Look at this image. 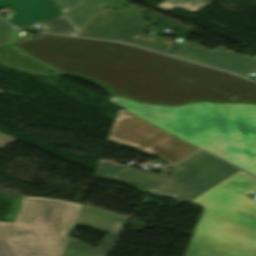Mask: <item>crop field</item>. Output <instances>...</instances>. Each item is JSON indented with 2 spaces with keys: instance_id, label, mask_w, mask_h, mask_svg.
Listing matches in <instances>:
<instances>
[{
  "instance_id": "crop-field-16",
  "label": "crop field",
  "mask_w": 256,
  "mask_h": 256,
  "mask_svg": "<svg viewBox=\"0 0 256 256\" xmlns=\"http://www.w3.org/2000/svg\"><path fill=\"white\" fill-rule=\"evenodd\" d=\"M47 23L55 33L72 35L76 31L64 17V15L60 16L59 18L47 21Z\"/></svg>"
},
{
  "instance_id": "crop-field-5",
  "label": "crop field",
  "mask_w": 256,
  "mask_h": 256,
  "mask_svg": "<svg viewBox=\"0 0 256 256\" xmlns=\"http://www.w3.org/2000/svg\"><path fill=\"white\" fill-rule=\"evenodd\" d=\"M108 139L138 148L171 164L197 149L122 109L118 110Z\"/></svg>"
},
{
  "instance_id": "crop-field-7",
  "label": "crop field",
  "mask_w": 256,
  "mask_h": 256,
  "mask_svg": "<svg viewBox=\"0 0 256 256\" xmlns=\"http://www.w3.org/2000/svg\"><path fill=\"white\" fill-rule=\"evenodd\" d=\"M151 24L134 5L123 11L100 9L76 35L123 41L164 53L170 46L167 39L144 35Z\"/></svg>"
},
{
  "instance_id": "crop-field-21",
  "label": "crop field",
  "mask_w": 256,
  "mask_h": 256,
  "mask_svg": "<svg viewBox=\"0 0 256 256\" xmlns=\"http://www.w3.org/2000/svg\"><path fill=\"white\" fill-rule=\"evenodd\" d=\"M0 66H3V67H6L4 65H1ZM8 68V67H6ZM10 69V68H9ZM13 70V69H12ZM16 71V70H15ZM18 72H21V71H18ZM22 73H25V74H29V75H34V76H42V77H51V78H56L57 76H50V75H40V74H34V73H28V72H22Z\"/></svg>"
},
{
  "instance_id": "crop-field-19",
  "label": "crop field",
  "mask_w": 256,
  "mask_h": 256,
  "mask_svg": "<svg viewBox=\"0 0 256 256\" xmlns=\"http://www.w3.org/2000/svg\"><path fill=\"white\" fill-rule=\"evenodd\" d=\"M11 27L0 20V44L9 42Z\"/></svg>"
},
{
  "instance_id": "crop-field-3",
  "label": "crop field",
  "mask_w": 256,
  "mask_h": 256,
  "mask_svg": "<svg viewBox=\"0 0 256 256\" xmlns=\"http://www.w3.org/2000/svg\"><path fill=\"white\" fill-rule=\"evenodd\" d=\"M81 207L24 197L14 223H0V256H61Z\"/></svg>"
},
{
  "instance_id": "crop-field-14",
  "label": "crop field",
  "mask_w": 256,
  "mask_h": 256,
  "mask_svg": "<svg viewBox=\"0 0 256 256\" xmlns=\"http://www.w3.org/2000/svg\"><path fill=\"white\" fill-rule=\"evenodd\" d=\"M209 2L210 0H165L156 6L165 10L178 7L196 13L207 6Z\"/></svg>"
},
{
  "instance_id": "crop-field-8",
  "label": "crop field",
  "mask_w": 256,
  "mask_h": 256,
  "mask_svg": "<svg viewBox=\"0 0 256 256\" xmlns=\"http://www.w3.org/2000/svg\"><path fill=\"white\" fill-rule=\"evenodd\" d=\"M190 240L243 256H256L255 229L204 213Z\"/></svg>"
},
{
  "instance_id": "crop-field-22",
  "label": "crop field",
  "mask_w": 256,
  "mask_h": 256,
  "mask_svg": "<svg viewBox=\"0 0 256 256\" xmlns=\"http://www.w3.org/2000/svg\"><path fill=\"white\" fill-rule=\"evenodd\" d=\"M15 30H16V28H14V31H13V37H12V44H14V42H13V38H14V32H15Z\"/></svg>"
},
{
  "instance_id": "crop-field-12",
  "label": "crop field",
  "mask_w": 256,
  "mask_h": 256,
  "mask_svg": "<svg viewBox=\"0 0 256 256\" xmlns=\"http://www.w3.org/2000/svg\"><path fill=\"white\" fill-rule=\"evenodd\" d=\"M0 62L22 70L35 71L45 74L58 73L57 71L16 52L11 44L0 46Z\"/></svg>"
},
{
  "instance_id": "crop-field-10",
  "label": "crop field",
  "mask_w": 256,
  "mask_h": 256,
  "mask_svg": "<svg viewBox=\"0 0 256 256\" xmlns=\"http://www.w3.org/2000/svg\"><path fill=\"white\" fill-rule=\"evenodd\" d=\"M172 56L207 64L237 74L252 60V58L221 49L211 51L187 41H184Z\"/></svg>"
},
{
  "instance_id": "crop-field-15",
  "label": "crop field",
  "mask_w": 256,
  "mask_h": 256,
  "mask_svg": "<svg viewBox=\"0 0 256 256\" xmlns=\"http://www.w3.org/2000/svg\"><path fill=\"white\" fill-rule=\"evenodd\" d=\"M184 254L189 256H239L191 241Z\"/></svg>"
},
{
  "instance_id": "crop-field-9",
  "label": "crop field",
  "mask_w": 256,
  "mask_h": 256,
  "mask_svg": "<svg viewBox=\"0 0 256 256\" xmlns=\"http://www.w3.org/2000/svg\"><path fill=\"white\" fill-rule=\"evenodd\" d=\"M79 222L103 228L110 231L98 251L74 240L70 239L64 256H106L127 221L100 214L94 211H83L80 214Z\"/></svg>"
},
{
  "instance_id": "crop-field-11",
  "label": "crop field",
  "mask_w": 256,
  "mask_h": 256,
  "mask_svg": "<svg viewBox=\"0 0 256 256\" xmlns=\"http://www.w3.org/2000/svg\"><path fill=\"white\" fill-rule=\"evenodd\" d=\"M5 6L16 11L9 21L17 26L54 18L62 12L52 0H0V8Z\"/></svg>"
},
{
  "instance_id": "crop-field-17",
  "label": "crop field",
  "mask_w": 256,
  "mask_h": 256,
  "mask_svg": "<svg viewBox=\"0 0 256 256\" xmlns=\"http://www.w3.org/2000/svg\"><path fill=\"white\" fill-rule=\"evenodd\" d=\"M99 166H102V167H99ZM127 167L129 166L128 165L121 166V165L100 160L95 174L103 177L113 176L114 174L124 170Z\"/></svg>"
},
{
  "instance_id": "crop-field-1",
  "label": "crop field",
  "mask_w": 256,
  "mask_h": 256,
  "mask_svg": "<svg viewBox=\"0 0 256 256\" xmlns=\"http://www.w3.org/2000/svg\"><path fill=\"white\" fill-rule=\"evenodd\" d=\"M15 41L25 55L112 95L162 105L196 100L256 104V83L126 44L42 33Z\"/></svg>"
},
{
  "instance_id": "crop-field-2",
  "label": "crop field",
  "mask_w": 256,
  "mask_h": 256,
  "mask_svg": "<svg viewBox=\"0 0 256 256\" xmlns=\"http://www.w3.org/2000/svg\"><path fill=\"white\" fill-rule=\"evenodd\" d=\"M108 102L256 175V106L198 102L144 105L123 97Z\"/></svg>"
},
{
  "instance_id": "crop-field-18",
  "label": "crop field",
  "mask_w": 256,
  "mask_h": 256,
  "mask_svg": "<svg viewBox=\"0 0 256 256\" xmlns=\"http://www.w3.org/2000/svg\"><path fill=\"white\" fill-rule=\"evenodd\" d=\"M58 8L64 12H68L76 7H78L85 0H53Z\"/></svg>"
},
{
  "instance_id": "crop-field-20",
  "label": "crop field",
  "mask_w": 256,
  "mask_h": 256,
  "mask_svg": "<svg viewBox=\"0 0 256 256\" xmlns=\"http://www.w3.org/2000/svg\"><path fill=\"white\" fill-rule=\"evenodd\" d=\"M250 72H256V58H254L251 63L240 73V75L246 77Z\"/></svg>"
},
{
  "instance_id": "crop-field-13",
  "label": "crop field",
  "mask_w": 256,
  "mask_h": 256,
  "mask_svg": "<svg viewBox=\"0 0 256 256\" xmlns=\"http://www.w3.org/2000/svg\"><path fill=\"white\" fill-rule=\"evenodd\" d=\"M112 1L114 0H88L81 7L66 15L79 31L101 6Z\"/></svg>"
},
{
  "instance_id": "crop-field-23",
  "label": "crop field",
  "mask_w": 256,
  "mask_h": 256,
  "mask_svg": "<svg viewBox=\"0 0 256 256\" xmlns=\"http://www.w3.org/2000/svg\"><path fill=\"white\" fill-rule=\"evenodd\" d=\"M185 256V255H184Z\"/></svg>"
},
{
  "instance_id": "crop-field-6",
  "label": "crop field",
  "mask_w": 256,
  "mask_h": 256,
  "mask_svg": "<svg viewBox=\"0 0 256 256\" xmlns=\"http://www.w3.org/2000/svg\"><path fill=\"white\" fill-rule=\"evenodd\" d=\"M256 191V179L237 171L189 203L205 208L204 213L256 228V202L246 197Z\"/></svg>"
},
{
  "instance_id": "crop-field-4",
  "label": "crop field",
  "mask_w": 256,
  "mask_h": 256,
  "mask_svg": "<svg viewBox=\"0 0 256 256\" xmlns=\"http://www.w3.org/2000/svg\"><path fill=\"white\" fill-rule=\"evenodd\" d=\"M174 166L181 171L171 176L129 168L113 178L136 183L150 193L188 202L239 170L203 151Z\"/></svg>"
}]
</instances>
